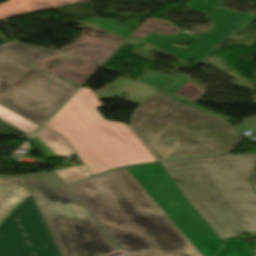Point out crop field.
<instances>
[{
  "mask_svg": "<svg viewBox=\"0 0 256 256\" xmlns=\"http://www.w3.org/2000/svg\"><path fill=\"white\" fill-rule=\"evenodd\" d=\"M68 187L130 256L250 254V244L220 240L159 163L111 171Z\"/></svg>",
  "mask_w": 256,
  "mask_h": 256,
  "instance_id": "8a807250",
  "label": "crop field"
},
{
  "mask_svg": "<svg viewBox=\"0 0 256 256\" xmlns=\"http://www.w3.org/2000/svg\"><path fill=\"white\" fill-rule=\"evenodd\" d=\"M256 154L162 163L179 189L223 238L256 230L249 179Z\"/></svg>",
  "mask_w": 256,
  "mask_h": 256,
  "instance_id": "ac0d7876",
  "label": "crop field"
},
{
  "mask_svg": "<svg viewBox=\"0 0 256 256\" xmlns=\"http://www.w3.org/2000/svg\"><path fill=\"white\" fill-rule=\"evenodd\" d=\"M128 127L158 161L228 154L241 140L227 121L160 93L132 110Z\"/></svg>",
  "mask_w": 256,
  "mask_h": 256,
  "instance_id": "34b2d1b8",
  "label": "crop field"
},
{
  "mask_svg": "<svg viewBox=\"0 0 256 256\" xmlns=\"http://www.w3.org/2000/svg\"><path fill=\"white\" fill-rule=\"evenodd\" d=\"M100 107L94 94L82 88L44 126L64 138L92 176L157 161L126 124L104 120Z\"/></svg>",
  "mask_w": 256,
  "mask_h": 256,
  "instance_id": "412701ff",
  "label": "crop field"
},
{
  "mask_svg": "<svg viewBox=\"0 0 256 256\" xmlns=\"http://www.w3.org/2000/svg\"><path fill=\"white\" fill-rule=\"evenodd\" d=\"M60 56L19 42L0 48V103L42 124L75 90L30 64Z\"/></svg>",
  "mask_w": 256,
  "mask_h": 256,
  "instance_id": "f4fd0767",
  "label": "crop field"
},
{
  "mask_svg": "<svg viewBox=\"0 0 256 256\" xmlns=\"http://www.w3.org/2000/svg\"><path fill=\"white\" fill-rule=\"evenodd\" d=\"M24 178L62 256H103L120 250L55 175Z\"/></svg>",
  "mask_w": 256,
  "mask_h": 256,
  "instance_id": "dd49c442",
  "label": "crop field"
},
{
  "mask_svg": "<svg viewBox=\"0 0 256 256\" xmlns=\"http://www.w3.org/2000/svg\"><path fill=\"white\" fill-rule=\"evenodd\" d=\"M0 256H61L22 176L0 178Z\"/></svg>",
  "mask_w": 256,
  "mask_h": 256,
  "instance_id": "e52e79f7",
  "label": "crop field"
},
{
  "mask_svg": "<svg viewBox=\"0 0 256 256\" xmlns=\"http://www.w3.org/2000/svg\"><path fill=\"white\" fill-rule=\"evenodd\" d=\"M223 0H190L188 9L202 12L211 21V31L191 35L183 32L171 36L152 33L140 41L147 43L173 57L187 62L185 68L191 70L219 48L214 47L221 44L250 23L256 16L233 12L220 6ZM216 7L219 9L217 10ZM176 42L188 45L186 48L174 46Z\"/></svg>",
  "mask_w": 256,
  "mask_h": 256,
  "instance_id": "d8731c3e",
  "label": "crop field"
},
{
  "mask_svg": "<svg viewBox=\"0 0 256 256\" xmlns=\"http://www.w3.org/2000/svg\"><path fill=\"white\" fill-rule=\"evenodd\" d=\"M76 1L78 0H9L6 3L0 4V20L46 10Z\"/></svg>",
  "mask_w": 256,
  "mask_h": 256,
  "instance_id": "5a996713",
  "label": "crop field"
},
{
  "mask_svg": "<svg viewBox=\"0 0 256 256\" xmlns=\"http://www.w3.org/2000/svg\"><path fill=\"white\" fill-rule=\"evenodd\" d=\"M31 141L48 159L74 154L61 136L43 127L32 137Z\"/></svg>",
  "mask_w": 256,
  "mask_h": 256,
  "instance_id": "3316defc",
  "label": "crop field"
},
{
  "mask_svg": "<svg viewBox=\"0 0 256 256\" xmlns=\"http://www.w3.org/2000/svg\"><path fill=\"white\" fill-rule=\"evenodd\" d=\"M0 119L31 135L40 125L0 104Z\"/></svg>",
  "mask_w": 256,
  "mask_h": 256,
  "instance_id": "28ad6ade",
  "label": "crop field"
},
{
  "mask_svg": "<svg viewBox=\"0 0 256 256\" xmlns=\"http://www.w3.org/2000/svg\"><path fill=\"white\" fill-rule=\"evenodd\" d=\"M65 183L82 179L84 177L90 176L87 169L82 166L63 168L55 171ZM60 178V179H61Z\"/></svg>",
  "mask_w": 256,
  "mask_h": 256,
  "instance_id": "d1516ede",
  "label": "crop field"
},
{
  "mask_svg": "<svg viewBox=\"0 0 256 256\" xmlns=\"http://www.w3.org/2000/svg\"><path fill=\"white\" fill-rule=\"evenodd\" d=\"M88 20L90 23H93V24H95L101 28H104L112 33H115L123 38H127L130 34L133 33L132 31L125 29L123 27H120L108 20H97L95 18H89Z\"/></svg>",
  "mask_w": 256,
  "mask_h": 256,
  "instance_id": "22f410ed",
  "label": "crop field"
},
{
  "mask_svg": "<svg viewBox=\"0 0 256 256\" xmlns=\"http://www.w3.org/2000/svg\"><path fill=\"white\" fill-rule=\"evenodd\" d=\"M169 78L170 76L151 70L142 79H140L139 82L159 88Z\"/></svg>",
  "mask_w": 256,
  "mask_h": 256,
  "instance_id": "cbeb9de0",
  "label": "crop field"
},
{
  "mask_svg": "<svg viewBox=\"0 0 256 256\" xmlns=\"http://www.w3.org/2000/svg\"><path fill=\"white\" fill-rule=\"evenodd\" d=\"M184 76L177 74L168 83L164 85L162 90L175 94L180 88H182L187 82L183 80Z\"/></svg>",
  "mask_w": 256,
  "mask_h": 256,
  "instance_id": "5142ce71",
  "label": "crop field"
},
{
  "mask_svg": "<svg viewBox=\"0 0 256 256\" xmlns=\"http://www.w3.org/2000/svg\"><path fill=\"white\" fill-rule=\"evenodd\" d=\"M9 43V41L0 34V45Z\"/></svg>",
  "mask_w": 256,
  "mask_h": 256,
  "instance_id": "d9b57169",
  "label": "crop field"
},
{
  "mask_svg": "<svg viewBox=\"0 0 256 256\" xmlns=\"http://www.w3.org/2000/svg\"><path fill=\"white\" fill-rule=\"evenodd\" d=\"M170 138L178 140L180 138V136L179 135H169V136L166 137V139H170Z\"/></svg>",
  "mask_w": 256,
  "mask_h": 256,
  "instance_id": "733c2abd",
  "label": "crop field"
},
{
  "mask_svg": "<svg viewBox=\"0 0 256 256\" xmlns=\"http://www.w3.org/2000/svg\"><path fill=\"white\" fill-rule=\"evenodd\" d=\"M252 182L256 188V169H255V172H254V175H253V178H252Z\"/></svg>",
  "mask_w": 256,
  "mask_h": 256,
  "instance_id": "4a817a6b",
  "label": "crop field"
}]
</instances>
